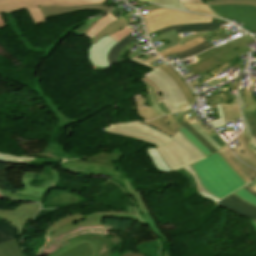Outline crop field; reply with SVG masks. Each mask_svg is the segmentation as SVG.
<instances>
[{"instance_id":"obj_1","label":"crop field","mask_w":256,"mask_h":256,"mask_svg":"<svg viewBox=\"0 0 256 256\" xmlns=\"http://www.w3.org/2000/svg\"><path fill=\"white\" fill-rule=\"evenodd\" d=\"M183 113H176L146 122H126L112 125L101 131L149 142L160 147L168 143L175 135Z\"/></svg>"},{"instance_id":"obj_2","label":"crop field","mask_w":256,"mask_h":256,"mask_svg":"<svg viewBox=\"0 0 256 256\" xmlns=\"http://www.w3.org/2000/svg\"><path fill=\"white\" fill-rule=\"evenodd\" d=\"M205 190L218 198H223L247 184L217 152L193 165Z\"/></svg>"},{"instance_id":"obj_3","label":"crop field","mask_w":256,"mask_h":256,"mask_svg":"<svg viewBox=\"0 0 256 256\" xmlns=\"http://www.w3.org/2000/svg\"><path fill=\"white\" fill-rule=\"evenodd\" d=\"M127 213L120 212H98L88 216L80 213L62 218L46 228V240L49 241L61 234H64L74 228L84 227L89 225H102L104 217L124 218L134 220L142 225L148 224L156 237H161L164 243H169L167 238L158 230L155 221L150 213L141 215L137 206H126Z\"/></svg>"},{"instance_id":"obj_4","label":"crop field","mask_w":256,"mask_h":256,"mask_svg":"<svg viewBox=\"0 0 256 256\" xmlns=\"http://www.w3.org/2000/svg\"><path fill=\"white\" fill-rule=\"evenodd\" d=\"M123 153L114 151L113 153H100L79 160H66L60 165L62 168L75 173L90 175H103L120 181L124 184V177L113 168V163L121 158Z\"/></svg>"},{"instance_id":"obj_5","label":"crop field","mask_w":256,"mask_h":256,"mask_svg":"<svg viewBox=\"0 0 256 256\" xmlns=\"http://www.w3.org/2000/svg\"><path fill=\"white\" fill-rule=\"evenodd\" d=\"M156 149L172 171L205 157L178 132L169 144Z\"/></svg>"},{"instance_id":"obj_6","label":"crop field","mask_w":256,"mask_h":256,"mask_svg":"<svg viewBox=\"0 0 256 256\" xmlns=\"http://www.w3.org/2000/svg\"><path fill=\"white\" fill-rule=\"evenodd\" d=\"M69 240V245L49 256H109L112 251L110 241L100 235L84 234Z\"/></svg>"},{"instance_id":"obj_7","label":"crop field","mask_w":256,"mask_h":256,"mask_svg":"<svg viewBox=\"0 0 256 256\" xmlns=\"http://www.w3.org/2000/svg\"><path fill=\"white\" fill-rule=\"evenodd\" d=\"M142 16L149 34L170 25L204 23L212 20L210 17L173 11L167 8L157 9Z\"/></svg>"},{"instance_id":"obj_8","label":"crop field","mask_w":256,"mask_h":256,"mask_svg":"<svg viewBox=\"0 0 256 256\" xmlns=\"http://www.w3.org/2000/svg\"><path fill=\"white\" fill-rule=\"evenodd\" d=\"M143 76L158 86L163 102L171 113L185 111V108L189 106L177 84L158 67Z\"/></svg>"},{"instance_id":"obj_9","label":"crop field","mask_w":256,"mask_h":256,"mask_svg":"<svg viewBox=\"0 0 256 256\" xmlns=\"http://www.w3.org/2000/svg\"><path fill=\"white\" fill-rule=\"evenodd\" d=\"M52 180L45 182V184L39 188L28 186L29 181L36 178L37 173L25 172L22 178L24 189L19 192H6L0 187V193L17 199L37 201L43 203L47 193L51 188L59 181L60 175L57 171L53 170Z\"/></svg>"},{"instance_id":"obj_10","label":"crop field","mask_w":256,"mask_h":256,"mask_svg":"<svg viewBox=\"0 0 256 256\" xmlns=\"http://www.w3.org/2000/svg\"><path fill=\"white\" fill-rule=\"evenodd\" d=\"M104 1L105 0H0V13L18 11L23 8L34 6H77Z\"/></svg>"},{"instance_id":"obj_11","label":"crop field","mask_w":256,"mask_h":256,"mask_svg":"<svg viewBox=\"0 0 256 256\" xmlns=\"http://www.w3.org/2000/svg\"><path fill=\"white\" fill-rule=\"evenodd\" d=\"M221 17L236 19L256 30V7L250 5H223L211 7ZM256 38V36H255Z\"/></svg>"},{"instance_id":"obj_12","label":"crop field","mask_w":256,"mask_h":256,"mask_svg":"<svg viewBox=\"0 0 256 256\" xmlns=\"http://www.w3.org/2000/svg\"><path fill=\"white\" fill-rule=\"evenodd\" d=\"M238 97L240 106L243 112V117L246 122V129L253 150L256 149V101L253 97L252 90L246 88L239 92Z\"/></svg>"},{"instance_id":"obj_13","label":"crop field","mask_w":256,"mask_h":256,"mask_svg":"<svg viewBox=\"0 0 256 256\" xmlns=\"http://www.w3.org/2000/svg\"><path fill=\"white\" fill-rule=\"evenodd\" d=\"M39 208V204H20L14 211L0 210V217L11 221L17 227L21 236L24 228L28 225Z\"/></svg>"},{"instance_id":"obj_14","label":"crop field","mask_w":256,"mask_h":256,"mask_svg":"<svg viewBox=\"0 0 256 256\" xmlns=\"http://www.w3.org/2000/svg\"><path fill=\"white\" fill-rule=\"evenodd\" d=\"M251 40L253 39L246 35L223 46L207 51L219 58V60H221L222 62L226 63L227 61L250 50L245 43Z\"/></svg>"},{"instance_id":"obj_15","label":"crop field","mask_w":256,"mask_h":256,"mask_svg":"<svg viewBox=\"0 0 256 256\" xmlns=\"http://www.w3.org/2000/svg\"><path fill=\"white\" fill-rule=\"evenodd\" d=\"M218 206H222L235 214L256 220V206L247 203L234 193L218 202Z\"/></svg>"},{"instance_id":"obj_16","label":"crop field","mask_w":256,"mask_h":256,"mask_svg":"<svg viewBox=\"0 0 256 256\" xmlns=\"http://www.w3.org/2000/svg\"><path fill=\"white\" fill-rule=\"evenodd\" d=\"M235 139H237L241 145L238 146V148H233L237 156L244 163L256 168V153L253 152V150L250 148L248 144L246 131L244 130V132Z\"/></svg>"},{"instance_id":"obj_17","label":"crop field","mask_w":256,"mask_h":256,"mask_svg":"<svg viewBox=\"0 0 256 256\" xmlns=\"http://www.w3.org/2000/svg\"><path fill=\"white\" fill-rule=\"evenodd\" d=\"M196 58L199 60V63L188 66L189 70L192 72L193 75L207 72L223 64L221 61H219L216 57H214L207 51L196 56Z\"/></svg>"},{"instance_id":"obj_18","label":"crop field","mask_w":256,"mask_h":256,"mask_svg":"<svg viewBox=\"0 0 256 256\" xmlns=\"http://www.w3.org/2000/svg\"><path fill=\"white\" fill-rule=\"evenodd\" d=\"M220 95L212 96L211 98L214 104L221 103L225 121L230 122L233 121L232 118L241 117L237 104L228 105V102H231L229 92H222Z\"/></svg>"},{"instance_id":"obj_19","label":"crop field","mask_w":256,"mask_h":256,"mask_svg":"<svg viewBox=\"0 0 256 256\" xmlns=\"http://www.w3.org/2000/svg\"><path fill=\"white\" fill-rule=\"evenodd\" d=\"M158 67L162 69L166 74H168L175 81V83L179 85L189 105L191 106L192 103L195 101L196 97L193 94V92L190 90V88L187 86V84L184 82V80L181 78V76L177 74V72L173 68H171L169 65H167L165 62L159 65Z\"/></svg>"},{"instance_id":"obj_20","label":"crop field","mask_w":256,"mask_h":256,"mask_svg":"<svg viewBox=\"0 0 256 256\" xmlns=\"http://www.w3.org/2000/svg\"><path fill=\"white\" fill-rule=\"evenodd\" d=\"M133 97L136 103L137 112L143 119L149 120L159 117L151 107L150 100L146 92L134 95Z\"/></svg>"},{"instance_id":"obj_21","label":"crop field","mask_w":256,"mask_h":256,"mask_svg":"<svg viewBox=\"0 0 256 256\" xmlns=\"http://www.w3.org/2000/svg\"><path fill=\"white\" fill-rule=\"evenodd\" d=\"M77 9H102V10L110 11L114 8L103 5V4L80 6V7H41V10L45 17L60 14V13L70 12Z\"/></svg>"},{"instance_id":"obj_22","label":"crop field","mask_w":256,"mask_h":256,"mask_svg":"<svg viewBox=\"0 0 256 256\" xmlns=\"http://www.w3.org/2000/svg\"><path fill=\"white\" fill-rule=\"evenodd\" d=\"M219 27V23H204V24H191V25H180L170 26L157 31L159 34L165 31L176 29L178 33L190 32V31H201V30H213Z\"/></svg>"},{"instance_id":"obj_23","label":"crop field","mask_w":256,"mask_h":256,"mask_svg":"<svg viewBox=\"0 0 256 256\" xmlns=\"http://www.w3.org/2000/svg\"><path fill=\"white\" fill-rule=\"evenodd\" d=\"M0 256H24L18 238L1 243Z\"/></svg>"},{"instance_id":"obj_24","label":"crop field","mask_w":256,"mask_h":256,"mask_svg":"<svg viewBox=\"0 0 256 256\" xmlns=\"http://www.w3.org/2000/svg\"><path fill=\"white\" fill-rule=\"evenodd\" d=\"M128 24L130 23L127 21V19L124 16L119 18L118 20L107 25L101 32H99L91 43L95 44L101 37H103L106 34L111 36L116 31L127 26Z\"/></svg>"},{"instance_id":"obj_25","label":"crop field","mask_w":256,"mask_h":256,"mask_svg":"<svg viewBox=\"0 0 256 256\" xmlns=\"http://www.w3.org/2000/svg\"><path fill=\"white\" fill-rule=\"evenodd\" d=\"M118 18L112 16L110 13L106 14L104 17L99 19L85 34L90 38V41L96 36V34L102 30L107 24L111 23L112 21Z\"/></svg>"},{"instance_id":"obj_26","label":"crop field","mask_w":256,"mask_h":256,"mask_svg":"<svg viewBox=\"0 0 256 256\" xmlns=\"http://www.w3.org/2000/svg\"><path fill=\"white\" fill-rule=\"evenodd\" d=\"M203 41H205V39H203L201 36H199V37L194 38L190 41H187L183 44H180V45L175 46L173 48L162 51L159 54H160L161 57H164V56H167V55H170V54H173V53L185 50V49H189V48H191V47H193V46H195V45H197V44H199Z\"/></svg>"},{"instance_id":"obj_27","label":"crop field","mask_w":256,"mask_h":256,"mask_svg":"<svg viewBox=\"0 0 256 256\" xmlns=\"http://www.w3.org/2000/svg\"><path fill=\"white\" fill-rule=\"evenodd\" d=\"M165 39L169 40L171 43L163 45L160 48H157L156 49L157 51H160V50L169 48L171 46L177 45L179 43V41H180L179 36H178V34L176 33L175 30L169 31V32H165L162 35H158V36L152 38L151 41L152 42H156V41H161V40H165Z\"/></svg>"},{"instance_id":"obj_28","label":"crop field","mask_w":256,"mask_h":256,"mask_svg":"<svg viewBox=\"0 0 256 256\" xmlns=\"http://www.w3.org/2000/svg\"><path fill=\"white\" fill-rule=\"evenodd\" d=\"M136 39L134 36H132L131 34L129 36H127L126 38H124L123 40H121L118 44H116L114 46V48L111 50V52L108 55V60L111 64H118L117 62V55L119 54V52L132 40Z\"/></svg>"},{"instance_id":"obj_29","label":"crop field","mask_w":256,"mask_h":256,"mask_svg":"<svg viewBox=\"0 0 256 256\" xmlns=\"http://www.w3.org/2000/svg\"><path fill=\"white\" fill-rule=\"evenodd\" d=\"M14 237H18L14 227L9 223L0 220V243Z\"/></svg>"},{"instance_id":"obj_30","label":"crop field","mask_w":256,"mask_h":256,"mask_svg":"<svg viewBox=\"0 0 256 256\" xmlns=\"http://www.w3.org/2000/svg\"><path fill=\"white\" fill-rule=\"evenodd\" d=\"M147 153L150 155V158L154 164V166L165 172V173H169L171 172V170L167 167V165L165 164L164 160L162 159V157L159 155V153L156 151V149L153 148H149L147 149Z\"/></svg>"},{"instance_id":"obj_31","label":"crop field","mask_w":256,"mask_h":256,"mask_svg":"<svg viewBox=\"0 0 256 256\" xmlns=\"http://www.w3.org/2000/svg\"><path fill=\"white\" fill-rule=\"evenodd\" d=\"M178 132H180L187 140H189L205 156H208V155L212 154L184 126H181Z\"/></svg>"},{"instance_id":"obj_32","label":"crop field","mask_w":256,"mask_h":256,"mask_svg":"<svg viewBox=\"0 0 256 256\" xmlns=\"http://www.w3.org/2000/svg\"><path fill=\"white\" fill-rule=\"evenodd\" d=\"M39 80H41V78L37 79V81H39ZM36 84L38 85L37 82H36ZM36 90H37V94H42L43 95V92H41L39 85L37 86ZM44 98L46 100L47 105H50L52 107L51 111L52 112L53 111L57 112L56 116L61 120V122L57 125L56 128H59L61 126H65L64 123L68 122L70 124V123L76 121V119H70L69 117H67L64 114H62L59 110H57L56 107L51 104V101L46 96Z\"/></svg>"},{"instance_id":"obj_33","label":"crop field","mask_w":256,"mask_h":256,"mask_svg":"<svg viewBox=\"0 0 256 256\" xmlns=\"http://www.w3.org/2000/svg\"><path fill=\"white\" fill-rule=\"evenodd\" d=\"M183 169H185L186 171H188V172L193 176V178H194V180H195L196 190H197V192H198L201 196H203V197H205V198H207V199H209V200H211V201H213V202H215V203H216L218 200H220V199L214 197L213 195L209 194L207 191H205V190L203 189V187H202V185H201V183H200V181H199L198 176L196 175V173L192 170V168H191L190 166H188V167H186V168H183Z\"/></svg>"},{"instance_id":"obj_34","label":"crop field","mask_w":256,"mask_h":256,"mask_svg":"<svg viewBox=\"0 0 256 256\" xmlns=\"http://www.w3.org/2000/svg\"><path fill=\"white\" fill-rule=\"evenodd\" d=\"M226 153L231 157V159L236 163V165L252 180L256 177V170L251 169L247 166H245L244 164H242L237 158L236 156L233 154V152L228 148L225 147L223 148Z\"/></svg>"},{"instance_id":"obj_35","label":"crop field","mask_w":256,"mask_h":256,"mask_svg":"<svg viewBox=\"0 0 256 256\" xmlns=\"http://www.w3.org/2000/svg\"><path fill=\"white\" fill-rule=\"evenodd\" d=\"M209 47H212L209 42L205 41L189 50H185L183 52L176 53V56L179 58V60L187 58L189 56L195 55Z\"/></svg>"},{"instance_id":"obj_36","label":"crop field","mask_w":256,"mask_h":256,"mask_svg":"<svg viewBox=\"0 0 256 256\" xmlns=\"http://www.w3.org/2000/svg\"><path fill=\"white\" fill-rule=\"evenodd\" d=\"M126 192L130 195H132L137 203V206L139 207L142 214L149 212L146 206L144 205V202L141 199V195L133 190V188L130 186V184L125 179V188Z\"/></svg>"},{"instance_id":"obj_37","label":"crop field","mask_w":256,"mask_h":256,"mask_svg":"<svg viewBox=\"0 0 256 256\" xmlns=\"http://www.w3.org/2000/svg\"><path fill=\"white\" fill-rule=\"evenodd\" d=\"M189 11L216 16L206 4L182 3Z\"/></svg>"},{"instance_id":"obj_38","label":"crop field","mask_w":256,"mask_h":256,"mask_svg":"<svg viewBox=\"0 0 256 256\" xmlns=\"http://www.w3.org/2000/svg\"><path fill=\"white\" fill-rule=\"evenodd\" d=\"M35 159L36 158L15 157L12 155H6V154L0 153V161L2 162L34 164Z\"/></svg>"},{"instance_id":"obj_39","label":"crop field","mask_w":256,"mask_h":256,"mask_svg":"<svg viewBox=\"0 0 256 256\" xmlns=\"http://www.w3.org/2000/svg\"><path fill=\"white\" fill-rule=\"evenodd\" d=\"M52 177V172L50 168H45L41 174L37 175V178L31 182L29 185L39 187L44 184L45 181L50 180Z\"/></svg>"},{"instance_id":"obj_40","label":"crop field","mask_w":256,"mask_h":256,"mask_svg":"<svg viewBox=\"0 0 256 256\" xmlns=\"http://www.w3.org/2000/svg\"><path fill=\"white\" fill-rule=\"evenodd\" d=\"M227 66H229L228 63H226V64H224V65H222V66H220V67H218V68H216V69H214V70H212L210 72H207V73H204V74H200L201 78H198L197 81L201 84V83H203V81H205V80H207V79H209V78H211V77H213V76L223 72L222 70L225 69ZM195 86H197V85H195ZM195 86H193V87H195Z\"/></svg>"},{"instance_id":"obj_41","label":"crop field","mask_w":256,"mask_h":256,"mask_svg":"<svg viewBox=\"0 0 256 256\" xmlns=\"http://www.w3.org/2000/svg\"><path fill=\"white\" fill-rule=\"evenodd\" d=\"M236 193L238 196H240L242 199L248 201L249 203L256 205V198L249 194L247 191H245L243 188L237 190ZM247 202V203H248ZM251 223L253 224L254 228L256 229V221L250 220Z\"/></svg>"},{"instance_id":"obj_42","label":"crop field","mask_w":256,"mask_h":256,"mask_svg":"<svg viewBox=\"0 0 256 256\" xmlns=\"http://www.w3.org/2000/svg\"><path fill=\"white\" fill-rule=\"evenodd\" d=\"M223 158L230 164V166L235 170V172L243 178L247 183L250 182L251 180L234 164V162L229 158V156L224 152V150L218 151ZM228 164V165H229Z\"/></svg>"},{"instance_id":"obj_43","label":"crop field","mask_w":256,"mask_h":256,"mask_svg":"<svg viewBox=\"0 0 256 256\" xmlns=\"http://www.w3.org/2000/svg\"><path fill=\"white\" fill-rule=\"evenodd\" d=\"M141 79L144 80L147 84H149V85L151 86V88L154 90L155 96H156V98H157L158 105L162 108V110H163L166 114H170L169 110L163 105L160 92H159V90L157 89V87L153 84V82H151V81L148 80V79H145L144 77H141ZM166 110H168V111L166 112Z\"/></svg>"},{"instance_id":"obj_44","label":"crop field","mask_w":256,"mask_h":256,"mask_svg":"<svg viewBox=\"0 0 256 256\" xmlns=\"http://www.w3.org/2000/svg\"><path fill=\"white\" fill-rule=\"evenodd\" d=\"M199 141L203 143L212 153L216 150L213 149L185 120H183V124Z\"/></svg>"},{"instance_id":"obj_45","label":"crop field","mask_w":256,"mask_h":256,"mask_svg":"<svg viewBox=\"0 0 256 256\" xmlns=\"http://www.w3.org/2000/svg\"><path fill=\"white\" fill-rule=\"evenodd\" d=\"M133 31L134 30H132L130 27L127 26V27L119 30L118 32H116L111 37H113L115 40H117L119 42L121 39H123L124 37H126L127 35H129Z\"/></svg>"},{"instance_id":"obj_46","label":"crop field","mask_w":256,"mask_h":256,"mask_svg":"<svg viewBox=\"0 0 256 256\" xmlns=\"http://www.w3.org/2000/svg\"><path fill=\"white\" fill-rule=\"evenodd\" d=\"M29 13L31 14L32 18L34 19L35 23L45 21L44 16L41 13L40 8H32L28 9Z\"/></svg>"},{"instance_id":"obj_47","label":"crop field","mask_w":256,"mask_h":256,"mask_svg":"<svg viewBox=\"0 0 256 256\" xmlns=\"http://www.w3.org/2000/svg\"><path fill=\"white\" fill-rule=\"evenodd\" d=\"M222 4H250V5L256 6V2H252V1H232V2H223V3H213L208 5L211 6V5H222Z\"/></svg>"},{"instance_id":"obj_48","label":"crop field","mask_w":256,"mask_h":256,"mask_svg":"<svg viewBox=\"0 0 256 256\" xmlns=\"http://www.w3.org/2000/svg\"><path fill=\"white\" fill-rule=\"evenodd\" d=\"M242 77H238V78H236V80H237V83L236 84H233V85H229V90H235L241 83H239V81H240V79H241Z\"/></svg>"},{"instance_id":"obj_49","label":"crop field","mask_w":256,"mask_h":256,"mask_svg":"<svg viewBox=\"0 0 256 256\" xmlns=\"http://www.w3.org/2000/svg\"><path fill=\"white\" fill-rule=\"evenodd\" d=\"M224 80H226L225 77L221 78L220 81H217V79L212 80V81L208 82V84L211 85V86H213V85H215V84H217V83H219V82H222V81H224Z\"/></svg>"},{"instance_id":"obj_50","label":"crop field","mask_w":256,"mask_h":256,"mask_svg":"<svg viewBox=\"0 0 256 256\" xmlns=\"http://www.w3.org/2000/svg\"><path fill=\"white\" fill-rule=\"evenodd\" d=\"M197 36H199V34L192 35V36H187V37H183V38H181V39H182L183 42H185V41L190 40V39H192V38H194V37H197Z\"/></svg>"},{"instance_id":"obj_51","label":"crop field","mask_w":256,"mask_h":256,"mask_svg":"<svg viewBox=\"0 0 256 256\" xmlns=\"http://www.w3.org/2000/svg\"><path fill=\"white\" fill-rule=\"evenodd\" d=\"M122 256H144V255H142V254H133V253H131V251H129L128 253H126Z\"/></svg>"},{"instance_id":"obj_52","label":"crop field","mask_w":256,"mask_h":256,"mask_svg":"<svg viewBox=\"0 0 256 256\" xmlns=\"http://www.w3.org/2000/svg\"><path fill=\"white\" fill-rule=\"evenodd\" d=\"M247 186H249L251 189H253V190L256 191V180H255L254 182L250 183V184L247 185Z\"/></svg>"},{"instance_id":"obj_53","label":"crop field","mask_w":256,"mask_h":256,"mask_svg":"<svg viewBox=\"0 0 256 256\" xmlns=\"http://www.w3.org/2000/svg\"><path fill=\"white\" fill-rule=\"evenodd\" d=\"M244 189H246L249 193H251L252 195H254L256 197V192L251 190L249 187L245 186L243 187Z\"/></svg>"},{"instance_id":"obj_54","label":"crop field","mask_w":256,"mask_h":256,"mask_svg":"<svg viewBox=\"0 0 256 256\" xmlns=\"http://www.w3.org/2000/svg\"><path fill=\"white\" fill-rule=\"evenodd\" d=\"M181 2H199L204 3L202 0H180Z\"/></svg>"},{"instance_id":"obj_55","label":"crop field","mask_w":256,"mask_h":256,"mask_svg":"<svg viewBox=\"0 0 256 256\" xmlns=\"http://www.w3.org/2000/svg\"><path fill=\"white\" fill-rule=\"evenodd\" d=\"M222 1H231V0H213V1H206V3L222 2ZM253 1H256V0H253Z\"/></svg>"},{"instance_id":"obj_56","label":"crop field","mask_w":256,"mask_h":256,"mask_svg":"<svg viewBox=\"0 0 256 256\" xmlns=\"http://www.w3.org/2000/svg\"><path fill=\"white\" fill-rule=\"evenodd\" d=\"M218 30V29H217ZM216 31V30H215ZM212 32H214V31H209V32H204V33H200V35L202 36V37H204V36H206V35H208V34H210V33H212Z\"/></svg>"},{"instance_id":"obj_57","label":"crop field","mask_w":256,"mask_h":256,"mask_svg":"<svg viewBox=\"0 0 256 256\" xmlns=\"http://www.w3.org/2000/svg\"><path fill=\"white\" fill-rule=\"evenodd\" d=\"M164 256H170V254L168 253V250L166 248V251H165V255Z\"/></svg>"},{"instance_id":"obj_58","label":"crop field","mask_w":256,"mask_h":256,"mask_svg":"<svg viewBox=\"0 0 256 256\" xmlns=\"http://www.w3.org/2000/svg\"><path fill=\"white\" fill-rule=\"evenodd\" d=\"M214 20H217L218 22L223 21V20H221V19L213 18V20H212V21H214ZM223 22H225V21H223ZM225 23H226V22H225Z\"/></svg>"},{"instance_id":"obj_59","label":"crop field","mask_w":256,"mask_h":256,"mask_svg":"<svg viewBox=\"0 0 256 256\" xmlns=\"http://www.w3.org/2000/svg\"><path fill=\"white\" fill-rule=\"evenodd\" d=\"M146 1H149V0H146Z\"/></svg>"}]
</instances>
